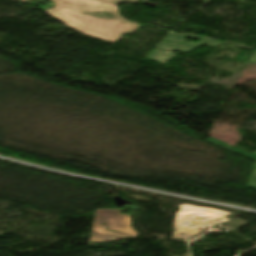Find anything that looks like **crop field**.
<instances>
[{"instance_id": "crop-field-1", "label": "crop field", "mask_w": 256, "mask_h": 256, "mask_svg": "<svg viewBox=\"0 0 256 256\" xmlns=\"http://www.w3.org/2000/svg\"><path fill=\"white\" fill-rule=\"evenodd\" d=\"M52 3L54 9H47L44 13L79 33L109 43L121 38V33L131 32L141 26L124 19L119 15L117 6L110 3L97 0H52ZM90 12L110 13L119 19L83 15Z\"/></svg>"}, {"instance_id": "crop-field-2", "label": "crop field", "mask_w": 256, "mask_h": 256, "mask_svg": "<svg viewBox=\"0 0 256 256\" xmlns=\"http://www.w3.org/2000/svg\"><path fill=\"white\" fill-rule=\"evenodd\" d=\"M183 37L199 38L198 44L183 42ZM206 44L210 46H218L222 43L215 42L209 39L201 38L198 36L180 35L171 33L162 43H160L151 53L145 58L160 62L162 64L168 62L173 56L171 51L180 49L181 52H188L196 46Z\"/></svg>"}, {"instance_id": "crop-field-3", "label": "crop field", "mask_w": 256, "mask_h": 256, "mask_svg": "<svg viewBox=\"0 0 256 256\" xmlns=\"http://www.w3.org/2000/svg\"><path fill=\"white\" fill-rule=\"evenodd\" d=\"M94 219L104 223L109 230L136 236L129 228V216L120 215L119 210L96 209Z\"/></svg>"}, {"instance_id": "crop-field-4", "label": "crop field", "mask_w": 256, "mask_h": 256, "mask_svg": "<svg viewBox=\"0 0 256 256\" xmlns=\"http://www.w3.org/2000/svg\"><path fill=\"white\" fill-rule=\"evenodd\" d=\"M129 236L108 231L100 222L94 221L90 242H101L114 239H123Z\"/></svg>"}, {"instance_id": "crop-field-5", "label": "crop field", "mask_w": 256, "mask_h": 256, "mask_svg": "<svg viewBox=\"0 0 256 256\" xmlns=\"http://www.w3.org/2000/svg\"><path fill=\"white\" fill-rule=\"evenodd\" d=\"M207 141L212 142V143L217 144V145H219V146H222V147H224V148H226V149H229V150H231V151H234V152H236V153H239V154H241V155H244V156H246V157H249V158H251V159L256 160V151H254V152H252V153H247V152H245V151H243V150H241V149H238V148H236V147H234V146H231V145H229V144H226V143H224V142H222V141H220V140H217V139H215V138H213V137L209 138Z\"/></svg>"}, {"instance_id": "crop-field-6", "label": "crop field", "mask_w": 256, "mask_h": 256, "mask_svg": "<svg viewBox=\"0 0 256 256\" xmlns=\"http://www.w3.org/2000/svg\"><path fill=\"white\" fill-rule=\"evenodd\" d=\"M247 187L256 190V162H254V164H253V168L251 171V175H250Z\"/></svg>"}, {"instance_id": "crop-field-7", "label": "crop field", "mask_w": 256, "mask_h": 256, "mask_svg": "<svg viewBox=\"0 0 256 256\" xmlns=\"http://www.w3.org/2000/svg\"><path fill=\"white\" fill-rule=\"evenodd\" d=\"M102 1H107V2H111V3L120 4L122 1L137 3L139 0H102Z\"/></svg>"}, {"instance_id": "crop-field-8", "label": "crop field", "mask_w": 256, "mask_h": 256, "mask_svg": "<svg viewBox=\"0 0 256 256\" xmlns=\"http://www.w3.org/2000/svg\"><path fill=\"white\" fill-rule=\"evenodd\" d=\"M250 60H252V61H256V51H254V53H253V55H252V57H251V59Z\"/></svg>"}, {"instance_id": "crop-field-9", "label": "crop field", "mask_w": 256, "mask_h": 256, "mask_svg": "<svg viewBox=\"0 0 256 256\" xmlns=\"http://www.w3.org/2000/svg\"><path fill=\"white\" fill-rule=\"evenodd\" d=\"M15 1L25 2V0H15Z\"/></svg>"}]
</instances>
